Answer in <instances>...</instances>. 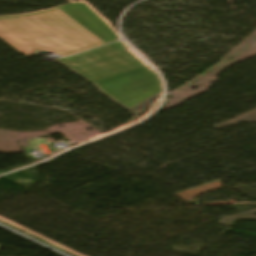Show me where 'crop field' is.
<instances>
[{"label": "crop field", "mask_w": 256, "mask_h": 256, "mask_svg": "<svg viewBox=\"0 0 256 256\" xmlns=\"http://www.w3.org/2000/svg\"><path fill=\"white\" fill-rule=\"evenodd\" d=\"M62 61L130 108L160 91L155 75L119 42Z\"/></svg>", "instance_id": "crop-field-2"}, {"label": "crop field", "mask_w": 256, "mask_h": 256, "mask_svg": "<svg viewBox=\"0 0 256 256\" xmlns=\"http://www.w3.org/2000/svg\"><path fill=\"white\" fill-rule=\"evenodd\" d=\"M0 37L26 55L43 50L61 56L118 38L83 2L33 14L2 16Z\"/></svg>", "instance_id": "crop-field-1"}]
</instances>
